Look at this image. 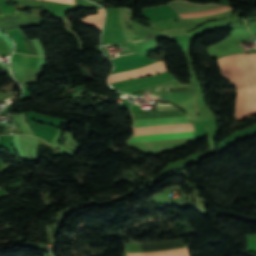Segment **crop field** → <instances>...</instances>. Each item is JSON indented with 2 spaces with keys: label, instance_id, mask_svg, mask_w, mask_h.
<instances>
[{
  "label": "crop field",
  "instance_id": "crop-field-1",
  "mask_svg": "<svg viewBox=\"0 0 256 256\" xmlns=\"http://www.w3.org/2000/svg\"><path fill=\"white\" fill-rule=\"evenodd\" d=\"M174 106L169 103H157V107ZM158 111L180 110L176 107L157 108ZM191 125L187 117L181 118H167L154 120H140L134 121V129L142 128H156V127H170V126H184ZM178 130H192L191 126L184 127H170V128H156V129H142L134 130V132H148V131H178ZM178 134H192V131H178V132H148V133H134L133 136H150V135H178ZM192 135L180 136H156V137H132L127 144H143V143H162V142H182L191 141ZM188 142L182 143H163V144H143V145H129L130 148L138 149L146 154L154 155L170 150H174L186 145Z\"/></svg>",
  "mask_w": 256,
  "mask_h": 256
},
{
  "label": "crop field",
  "instance_id": "crop-field-2",
  "mask_svg": "<svg viewBox=\"0 0 256 256\" xmlns=\"http://www.w3.org/2000/svg\"><path fill=\"white\" fill-rule=\"evenodd\" d=\"M236 59L246 87L244 113L256 110V54H236ZM234 55L217 59L221 76L235 89L234 119L244 120L256 111L243 115L245 87Z\"/></svg>",
  "mask_w": 256,
  "mask_h": 256
},
{
  "label": "crop field",
  "instance_id": "crop-field-3",
  "mask_svg": "<svg viewBox=\"0 0 256 256\" xmlns=\"http://www.w3.org/2000/svg\"><path fill=\"white\" fill-rule=\"evenodd\" d=\"M131 54H133V53H131ZM126 55H129V54H126ZM121 56H125V55H121ZM117 57H120V56H117ZM146 57L147 56H139L137 54H133V55L125 56V57L112 59L111 61L113 62L114 67H115V69L112 71V73L155 62ZM163 69H165L163 62H155V63L149 64V65L143 66V67L113 73L110 75L108 82L132 77V76H136V75H141V74H145V73H150V72H154V71H159V70H163ZM164 71H166V70L154 72V73H160V72H164ZM154 73H150V74H154ZM147 75H149V74H145V75H141V76H137V77H142V76H147ZM123 80H125V79H123ZM119 81H121V80H119ZM114 82H116V81H114Z\"/></svg>",
  "mask_w": 256,
  "mask_h": 256
},
{
  "label": "crop field",
  "instance_id": "crop-field-4",
  "mask_svg": "<svg viewBox=\"0 0 256 256\" xmlns=\"http://www.w3.org/2000/svg\"><path fill=\"white\" fill-rule=\"evenodd\" d=\"M167 3L173 7L180 18L203 17L231 10V7L229 6L213 4L198 5L184 1H170Z\"/></svg>",
  "mask_w": 256,
  "mask_h": 256
},
{
  "label": "crop field",
  "instance_id": "crop-field-5",
  "mask_svg": "<svg viewBox=\"0 0 256 256\" xmlns=\"http://www.w3.org/2000/svg\"><path fill=\"white\" fill-rule=\"evenodd\" d=\"M13 138H14V145L16 146L18 151L20 152V155H21L22 159H26L23 152H22V149H21L20 135H13Z\"/></svg>",
  "mask_w": 256,
  "mask_h": 256
},
{
  "label": "crop field",
  "instance_id": "crop-field-6",
  "mask_svg": "<svg viewBox=\"0 0 256 256\" xmlns=\"http://www.w3.org/2000/svg\"><path fill=\"white\" fill-rule=\"evenodd\" d=\"M32 42L34 43L36 49H37V52H38V55L39 56H45L43 50H42V47H41V44L40 42L38 41V39L36 40H32Z\"/></svg>",
  "mask_w": 256,
  "mask_h": 256
},
{
  "label": "crop field",
  "instance_id": "crop-field-7",
  "mask_svg": "<svg viewBox=\"0 0 256 256\" xmlns=\"http://www.w3.org/2000/svg\"><path fill=\"white\" fill-rule=\"evenodd\" d=\"M0 36L5 40V42L7 43V45L12 51V48H13L12 41L2 31H0Z\"/></svg>",
  "mask_w": 256,
  "mask_h": 256
},
{
  "label": "crop field",
  "instance_id": "crop-field-8",
  "mask_svg": "<svg viewBox=\"0 0 256 256\" xmlns=\"http://www.w3.org/2000/svg\"><path fill=\"white\" fill-rule=\"evenodd\" d=\"M49 1H55V2H61V3H67V4L75 5L74 0H49Z\"/></svg>",
  "mask_w": 256,
  "mask_h": 256
},
{
  "label": "crop field",
  "instance_id": "crop-field-9",
  "mask_svg": "<svg viewBox=\"0 0 256 256\" xmlns=\"http://www.w3.org/2000/svg\"><path fill=\"white\" fill-rule=\"evenodd\" d=\"M122 35H123V33H122ZM123 37H124V35H123ZM124 39H125V41H127L125 37H124Z\"/></svg>",
  "mask_w": 256,
  "mask_h": 256
},
{
  "label": "crop field",
  "instance_id": "crop-field-10",
  "mask_svg": "<svg viewBox=\"0 0 256 256\" xmlns=\"http://www.w3.org/2000/svg\"><path fill=\"white\" fill-rule=\"evenodd\" d=\"M1 188V187H0Z\"/></svg>",
  "mask_w": 256,
  "mask_h": 256
}]
</instances>
